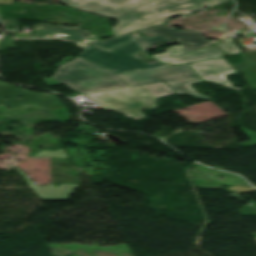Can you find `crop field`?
<instances>
[{"label": "crop field", "mask_w": 256, "mask_h": 256, "mask_svg": "<svg viewBox=\"0 0 256 256\" xmlns=\"http://www.w3.org/2000/svg\"><path fill=\"white\" fill-rule=\"evenodd\" d=\"M27 181L34 192H37L38 196L42 197L45 200L49 199H67V195L73 192L74 188L78 186V184H62L59 186L55 185H45L44 187L36 186L30 179L26 177V175L21 172L18 168L14 167Z\"/></svg>", "instance_id": "11"}, {"label": "crop field", "mask_w": 256, "mask_h": 256, "mask_svg": "<svg viewBox=\"0 0 256 256\" xmlns=\"http://www.w3.org/2000/svg\"><path fill=\"white\" fill-rule=\"evenodd\" d=\"M66 4L70 0H61ZM76 9L114 18L115 36L128 33L135 27L158 24L172 16H185L229 0H75ZM136 10L135 13L132 11Z\"/></svg>", "instance_id": "1"}, {"label": "crop field", "mask_w": 256, "mask_h": 256, "mask_svg": "<svg viewBox=\"0 0 256 256\" xmlns=\"http://www.w3.org/2000/svg\"><path fill=\"white\" fill-rule=\"evenodd\" d=\"M120 76L131 86L164 81L176 94L186 93L194 97L209 99L196 93L190 85L202 81V79L188 64L121 74Z\"/></svg>", "instance_id": "5"}, {"label": "crop field", "mask_w": 256, "mask_h": 256, "mask_svg": "<svg viewBox=\"0 0 256 256\" xmlns=\"http://www.w3.org/2000/svg\"><path fill=\"white\" fill-rule=\"evenodd\" d=\"M176 51H178V53H171ZM151 56L160 61L167 62L173 65H178L219 58L222 57V53L213 46L189 52L182 47L175 45L167 48L166 51L163 53H158Z\"/></svg>", "instance_id": "9"}, {"label": "crop field", "mask_w": 256, "mask_h": 256, "mask_svg": "<svg viewBox=\"0 0 256 256\" xmlns=\"http://www.w3.org/2000/svg\"><path fill=\"white\" fill-rule=\"evenodd\" d=\"M139 32H153L157 34V36L154 37L137 38L141 45L144 47V49H151L149 45L160 40H173L175 38L179 39L178 41H176L179 43L178 45L184 47L189 51L204 48L217 42L214 40L207 41L196 31H176L171 28L164 27L161 24L139 30Z\"/></svg>", "instance_id": "6"}, {"label": "crop field", "mask_w": 256, "mask_h": 256, "mask_svg": "<svg viewBox=\"0 0 256 256\" xmlns=\"http://www.w3.org/2000/svg\"><path fill=\"white\" fill-rule=\"evenodd\" d=\"M174 93L164 82L134 86L84 96L123 115L138 119L145 117L139 112L142 108H154V100L160 96Z\"/></svg>", "instance_id": "4"}, {"label": "crop field", "mask_w": 256, "mask_h": 256, "mask_svg": "<svg viewBox=\"0 0 256 256\" xmlns=\"http://www.w3.org/2000/svg\"><path fill=\"white\" fill-rule=\"evenodd\" d=\"M240 129L244 132V134L248 137L250 141L242 142L239 144V146L241 148H244V147H250V146L256 145V133L250 130H246L244 128H240Z\"/></svg>", "instance_id": "14"}, {"label": "crop field", "mask_w": 256, "mask_h": 256, "mask_svg": "<svg viewBox=\"0 0 256 256\" xmlns=\"http://www.w3.org/2000/svg\"><path fill=\"white\" fill-rule=\"evenodd\" d=\"M4 27H8L10 25H20L14 18H6V19H1Z\"/></svg>", "instance_id": "16"}, {"label": "crop field", "mask_w": 256, "mask_h": 256, "mask_svg": "<svg viewBox=\"0 0 256 256\" xmlns=\"http://www.w3.org/2000/svg\"><path fill=\"white\" fill-rule=\"evenodd\" d=\"M101 41L89 43L90 45L78 55L109 70L113 68L115 69L114 72L118 74L170 66V64L163 62L146 65L140 59L134 57L132 54L143 48L130 33ZM131 46L133 47L131 48Z\"/></svg>", "instance_id": "2"}, {"label": "crop field", "mask_w": 256, "mask_h": 256, "mask_svg": "<svg viewBox=\"0 0 256 256\" xmlns=\"http://www.w3.org/2000/svg\"><path fill=\"white\" fill-rule=\"evenodd\" d=\"M46 155H52V156H56V157L67 158L63 149L56 150V151H42V152H39V153L35 154L36 157L46 156Z\"/></svg>", "instance_id": "15"}, {"label": "crop field", "mask_w": 256, "mask_h": 256, "mask_svg": "<svg viewBox=\"0 0 256 256\" xmlns=\"http://www.w3.org/2000/svg\"><path fill=\"white\" fill-rule=\"evenodd\" d=\"M79 56L58 66L52 78L79 92H91L113 87L128 86L116 73Z\"/></svg>", "instance_id": "3"}, {"label": "crop field", "mask_w": 256, "mask_h": 256, "mask_svg": "<svg viewBox=\"0 0 256 256\" xmlns=\"http://www.w3.org/2000/svg\"><path fill=\"white\" fill-rule=\"evenodd\" d=\"M240 32H241L244 36H246V37H250V36H251V32H249V31L244 32L243 29H242V30H240Z\"/></svg>", "instance_id": "18"}, {"label": "crop field", "mask_w": 256, "mask_h": 256, "mask_svg": "<svg viewBox=\"0 0 256 256\" xmlns=\"http://www.w3.org/2000/svg\"><path fill=\"white\" fill-rule=\"evenodd\" d=\"M189 65L200 75L204 81L214 82L233 89H246L232 87L229 81L224 78V75L233 73L234 70L222 58L191 63Z\"/></svg>", "instance_id": "10"}, {"label": "crop field", "mask_w": 256, "mask_h": 256, "mask_svg": "<svg viewBox=\"0 0 256 256\" xmlns=\"http://www.w3.org/2000/svg\"><path fill=\"white\" fill-rule=\"evenodd\" d=\"M32 38H14V39H48L59 38L62 40L77 43L79 47L85 48L87 42L96 41L97 39L87 30L75 27H64L52 24L38 23L32 27ZM89 35L87 40L83 35Z\"/></svg>", "instance_id": "8"}, {"label": "crop field", "mask_w": 256, "mask_h": 256, "mask_svg": "<svg viewBox=\"0 0 256 256\" xmlns=\"http://www.w3.org/2000/svg\"><path fill=\"white\" fill-rule=\"evenodd\" d=\"M140 28H143V27L139 26V27L135 28L134 30H137V29H140ZM132 31H133V30H132Z\"/></svg>", "instance_id": "19"}, {"label": "crop field", "mask_w": 256, "mask_h": 256, "mask_svg": "<svg viewBox=\"0 0 256 256\" xmlns=\"http://www.w3.org/2000/svg\"><path fill=\"white\" fill-rule=\"evenodd\" d=\"M72 3H75L74 1H70V2H68V4H72Z\"/></svg>", "instance_id": "20"}, {"label": "crop field", "mask_w": 256, "mask_h": 256, "mask_svg": "<svg viewBox=\"0 0 256 256\" xmlns=\"http://www.w3.org/2000/svg\"><path fill=\"white\" fill-rule=\"evenodd\" d=\"M13 0H0V4H11Z\"/></svg>", "instance_id": "17"}, {"label": "crop field", "mask_w": 256, "mask_h": 256, "mask_svg": "<svg viewBox=\"0 0 256 256\" xmlns=\"http://www.w3.org/2000/svg\"><path fill=\"white\" fill-rule=\"evenodd\" d=\"M0 85V104H5L11 109L26 104H34L48 109L62 106L53 94L28 91L1 81ZM23 90H25V92H23ZM42 94H45V97L42 96ZM18 96H21L22 98L18 99ZM6 97H9V99L3 100Z\"/></svg>", "instance_id": "7"}, {"label": "crop field", "mask_w": 256, "mask_h": 256, "mask_svg": "<svg viewBox=\"0 0 256 256\" xmlns=\"http://www.w3.org/2000/svg\"><path fill=\"white\" fill-rule=\"evenodd\" d=\"M243 60L233 65L238 72H243L251 88H256V51L239 54Z\"/></svg>", "instance_id": "12"}, {"label": "crop field", "mask_w": 256, "mask_h": 256, "mask_svg": "<svg viewBox=\"0 0 256 256\" xmlns=\"http://www.w3.org/2000/svg\"><path fill=\"white\" fill-rule=\"evenodd\" d=\"M216 47L220 48L223 50L228 56L232 54H236L239 52H242L231 40L230 38H227L217 44H215Z\"/></svg>", "instance_id": "13"}]
</instances>
